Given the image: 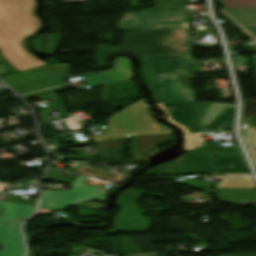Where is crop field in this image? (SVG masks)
<instances>
[{
  "label": "crop field",
  "instance_id": "obj_11",
  "mask_svg": "<svg viewBox=\"0 0 256 256\" xmlns=\"http://www.w3.org/2000/svg\"><path fill=\"white\" fill-rule=\"evenodd\" d=\"M133 78L132 63L126 57H116L112 67L105 72H98L83 80L91 87L106 86Z\"/></svg>",
  "mask_w": 256,
  "mask_h": 256
},
{
  "label": "crop field",
  "instance_id": "obj_10",
  "mask_svg": "<svg viewBox=\"0 0 256 256\" xmlns=\"http://www.w3.org/2000/svg\"><path fill=\"white\" fill-rule=\"evenodd\" d=\"M132 136L102 143L104 155L101 156L102 160H118L120 159L121 147L127 140L131 139ZM172 136H135L131 142L133 146V156L144 155L152 152L153 148L159 144H162Z\"/></svg>",
  "mask_w": 256,
  "mask_h": 256
},
{
  "label": "crop field",
  "instance_id": "obj_9",
  "mask_svg": "<svg viewBox=\"0 0 256 256\" xmlns=\"http://www.w3.org/2000/svg\"><path fill=\"white\" fill-rule=\"evenodd\" d=\"M206 156L213 155L211 159L219 173L249 172L238 146H220L207 144L199 150Z\"/></svg>",
  "mask_w": 256,
  "mask_h": 256
},
{
  "label": "crop field",
  "instance_id": "obj_1",
  "mask_svg": "<svg viewBox=\"0 0 256 256\" xmlns=\"http://www.w3.org/2000/svg\"><path fill=\"white\" fill-rule=\"evenodd\" d=\"M35 2L0 0V50L10 62L2 67L10 74L48 65L22 47L23 39L40 27Z\"/></svg>",
  "mask_w": 256,
  "mask_h": 256
},
{
  "label": "crop field",
  "instance_id": "obj_22",
  "mask_svg": "<svg viewBox=\"0 0 256 256\" xmlns=\"http://www.w3.org/2000/svg\"><path fill=\"white\" fill-rule=\"evenodd\" d=\"M253 55V58H254V61H255V64H256V54H252Z\"/></svg>",
  "mask_w": 256,
  "mask_h": 256
},
{
  "label": "crop field",
  "instance_id": "obj_4",
  "mask_svg": "<svg viewBox=\"0 0 256 256\" xmlns=\"http://www.w3.org/2000/svg\"><path fill=\"white\" fill-rule=\"evenodd\" d=\"M107 122L110 130L92 136L96 142L129 135L172 134L171 129L152 119L143 99L108 117Z\"/></svg>",
  "mask_w": 256,
  "mask_h": 256
},
{
  "label": "crop field",
  "instance_id": "obj_6",
  "mask_svg": "<svg viewBox=\"0 0 256 256\" xmlns=\"http://www.w3.org/2000/svg\"><path fill=\"white\" fill-rule=\"evenodd\" d=\"M123 16V19L117 23L121 31L189 29L190 23L187 11L130 13Z\"/></svg>",
  "mask_w": 256,
  "mask_h": 256
},
{
  "label": "crop field",
  "instance_id": "obj_8",
  "mask_svg": "<svg viewBox=\"0 0 256 256\" xmlns=\"http://www.w3.org/2000/svg\"><path fill=\"white\" fill-rule=\"evenodd\" d=\"M214 170L207 158L198 152H185L177 161L157 166L149 170L145 176L160 175H194L214 174Z\"/></svg>",
  "mask_w": 256,
  "mask_h": 256
},
{
  "label": "crop field",
  "instance_id": "obj_23",
  "mask_svg": "<svg viewBox=\"0 0 256 256\" xmlns=\"http://www.w3.org/2000/svg\"><path fill=\"white\" fill-rule=\"evenodd\" d=\"M254 42V44H255V46H256V41H253Z\"/></svg>",
  "mask_w": 256,
  "mask_h": 256
},
{
  "label": "crop field",
  "instance_id": "obj_3",
  "mask_svg": "<svg viewBox=\"0 0 256 256\" xmlns=\"http://www.w3.org/2000/svg\"><path fill=\"white\" fill-rule=\"evenodd\" d=\"M119 52L137 57L192 55L189 30H157L131 32Z\"/></svg>",
  "mask_w": 256,
  "mask_h": 256
},
{
  "label": "crop field",
  "instance_id": "obj_15",
  "mask_svg": "<svg viewBox=\"0 0 256 256\" xmlns=\"http://www.w3.org/2000/svg\"><path fill=\"white\" fill-rule=\"evenodd\" d=\"M61 34L43 35L36 40L34 44L37 48L52 53H58Z\"/></svg>",
  "mask_w": 256,
  "mask_h": 256
},
{
  "label": "crop field",
  "instance_id": "obj_20",
  "mask_svg": "<svg viewBox=\"0 0 256 256\" xmlns=\"http://www.w3.org/2000/svg\"><path fill=\"white\" fill-rule=\"evenodd\" d=\"M224 256H256V252L255 253H245V254L224 255Z\"/></svg>",
  "mask_w": 256,
  "mask_h": 256
},
{
  "label": "crop field",
  "instance_id": "obj_17",
  "mask_svg": "<svg viewBox=\"0 0 256 256\" xmlns=\"http://www.w3.org/2000/svg\"><path fill=\"white\" fill-rule=\"evenodd\" d=\"M118 49V47L98 45L95 60L98 64V67L104 66L106 64L107 56L115 53L116 51H118Z\"/></svg>",
  "mask_w": 256,
  "mask_h": 256
},
{
  "label": "crop field",
  "instance_id": "obj_12",
  "mask_svg": "<svg viewBox=\"0 0 256 256\" xmlns=\"http://www.w3.org/2000/svg\"><path fill=\"white\" fill-rule=\"evenodd\" d=\"M119 212L115 215L112 228L115 230H109L108 234H117L118 232H148L151 222L150 218L142 216V212L134 209L119 206Z\"/></svg>",
  "mask_w": 256,
  "mask_h": 256
},
{
  "label": "crop field",
  "instance_id": "obj_13",
  "mask_svg": "<svg viewBox=\"0 0 256 256\" xmlns=\"http://www.w3.org/2000/svg\"><path fill=\"white\" fill-rule=\"evenodd\" d=\"M24 220L0 225V256H23V242L18 227Z\"/></svg>",
  "mask_w": 256,
  "mask_h": 256
},
{
  "label": "crop field",
  "instance_id": "obj_18",
  "mask_svg": "<svg viewBox=\"0 0 256 256\" xmlns=\"http://www.w3.org/2000/svg\"><path fill=\"white\" fill-rule=\"evenodd\" d=\"M223 8L256 7V0H215Z\"/></svg>",
  "mask_w": 256,
  "mask_h": 256
},
{
  "label": "crop field",
  "instance_id": "obj_19",
  "mask_svg": "<svg viewBox=\"0 0 256 256\" xmlns=\"http://www.w3.org/2000/svg\"><path fill=\"white\" fill-rule=\"evenodd\" d=\"M221 14L224 15L230 22H232L235 26H237L244 34H246L249 38L255 39L256 37L249 32L243 25H241L236 19H234L229 13L225 10H220Z\"/></svg>",
  "mask_w": 256,
  "mask_h": 256
},
{
  "label": "crop field",
  "instance_id": "obj_21",
  "mask_svg": "<svg viewBox=\"0 0 256 256\" xmlns=\"http://www.w3.org/2000/svg\"><path fill=\"white\" fill-rule=\"evenodd\" d=\"M249 29L252 30L256 34V28H249Z\"/></svg>",
  "mask_w": 256,
  "mask_h": 256
},
{
  "label": "crop field",
  "instance_id": "obj_5",
  "mask_svg": "<svg viewBox=\"0 0 256 256\" xmlns=\"http://www.w3.org/2000/svg\"><path fill=\"white\" fill-rule=\"evenodd\" d=\"M168 120L181 128L185 134L202 132L197 116V103H158ZM235 109L226 107L208 126L207 130H229L233 123Z\"/></svg>",
  "mask_w": 256,
  "mask_h": 256
},
{
  "label": "crop field",
  "instance_id": "obj_7",
  "mask_svg": "<svg viewBox=\"0 0 256 256\" xmlns=\"http://www.w3.org/2000/svg\"><path fill=\"white\" fill-rule=\"evenodd\" d=\"M86 179L76 177L70 185L69 192L42 191L40 208L60 209L91 200L104 203L108 191L82 185Z\"/></svg>",
  "mask_w": 256,
  "mask_h": 256
},
{
  "label": "crop field",
  "instance_id": "obj_14",
  "mask_svg": "<svg viewBox=\"0 0 256 256\" xmlns=\"http://www.w3.org/2000/svg\"><path fill=\"white\" fill-rule=\"evenodd\" d=\"M36 206L0 201V210H6L0 217V223L30 216Z\"/></svg>",
  "mask_w": 256,
  "mask_h": 256
},
{
  "label": "crop field",
  "instance_id": "obj_2",
  "mask_svg": "<svg viewBox=\"0 0 256 256\" xmlns=\"http://www.w3.org/2000/svg\"><path fill=\"white\" fill-rule=\"evenodd\" d=\"M143 78L156 102H195L194 91L180 85L177 75L192 73L193 57L138 58Z\"/></svg>",
  "mask_w": 256,
  "mask_h": 256
},
{
  "label": "crop field",
  "instance_id": "obj_16",
  "mask_svg": "<svg viewBox=\"0 0 256 256\" xmlns=\"http://www.w3.org/2000/svg\"><path fill=\"white\" fill-rule=\"evenodd\" d=\"M247 27H256V9L227 10Z\"/></svg>",
  "mask_w": 256,
  "mask_h": 256
}]
</instances>
